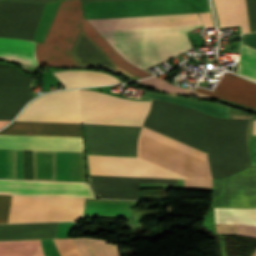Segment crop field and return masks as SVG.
Listing matches in <instances>:
<instances>
[{
	"label": "crop field",
	"mask_w": 256,
	"mask_h": 256,
	"mask_svg": "<svg viewBox=\"0 0 256 256\" xmlns=\"http://www.w3.org/2000/svg\"><path fill=\"white\" fill-rule=\"evenodd\" d=\"M0 133L82 137L80 124L14 121ZM0 134V148L83 152L82 138Z\"/></svg>",
	"instance_id": "f4fd0767"
},
{
	"label": "crop field",
	"mask_w": 256,
	"mask_h": 256,
	"mask_svg": "<svg viewBox=\"0 0 256 256\" xmlns=\"http://www.w3.org/2000/svg\"><path fill=\"white\" fill-rule=\"evenodd\" d=\"M85 2H97V1H115V0H82Z\"/></svg>",
	"instance_id": "4177f3b9"
},
{
	"label": "crop field",
	"mask_w": 256,
	"mask_h": 256,
	"mask_svg": "<svg viewBox=\"0 0 256 256\" xmlns=\"http://www.w3.org/2000/svg\"><path fill=\"white\" fill-rule=\"evenodd\" d=\"M253 256H256V251H255V253H254V255Z\"/></svg>",
	"instance_id": "eef30255"
},
{
	"label": "crop field",
	"mask_w": 256,
	"mask_h": 256,
	"mask_svg": "<svg viewBox=\"0 0 256 256\" xmlns=\"http://www.w3.org/2000/svg\"><path fill=\"white\" fill-rule=\"evenodd\" d=\"M51 256H80L72 239L44 240Z\"/></svg>",
	"instance_id": "214f88e0"
},
{
	"label": "crop field",
	"mask_w": 256,
	"mask_h": 256,
	"mask_svg": "<svg viewBox=\"0 0 256 256\" xmlns=\"http://www.w3.org/2000/svg\"><path fill=\"white\" fill-rule=\"evenodd\" d=\"M11 196H0V223H7ZM84 199L12 196L8 223L76 221ZM138 201L85 199L84 214H131Z\"/></svg>",
	"instance_id": "412701ff"
},
{
	"label": "crop field",
	"mask_w": 256,
	"mask_h": 256,
	"mask_svg": "<svg viewBox=\"0 0 256 256\" xmlns=\"http://www.w3.org/2000/svg\"><path fill=\"white\" fill-rule=\"evenodd\" d=\"M220 27L241 25L242 33L256 31V0H213Z\"/></svg>",
	"instance_id": "3316defc"
},
{
	"label": "crop field",
	"mask_w": 256,
	"mask_h": 256,
	"mask_svg": "<svg viewBox=\"0 0 256 256\" xmlns=\"http://www.w3.org/2000/svg\"><path fill=\"white\" fill-rule=\"evenodd\" d=\"M95 196L114 199H139L138 183L177 185V180L88 176Z\"/></svg>",
	"instance_id": "d8731c3e"
},
{
	"label": "crop field",
	"mask_w": 256,
	"mask_h": 256,
	"mask_svg": "<svg viewBox=\"0 0 256 256\" xmlns=\"http://www.w3.org/2000/svg\"><path fill=\"white\" fill-rule=\"evenodd\" d=\"M145 97L160 99V100L180 104L189 108L202 111L214 117L228 118L229 108L223 107L214 103L186 99L181 97L163 96V95H157V94H152L148 92L146 93Z\"/></svg>",
	"instance_id": "5142ce71"
},
{
	"label": "crop field",
	"mask_w": 256,
	"mask_h": 256,
	"mask_svg": "<svg viewBox=\"0 0 256 256\" xmlns=\"http://www.w3.org/2000/svg\"><path fill=\"white\" fill-rule=\"evenodd\" d=\"M65 88L120 82L116 78L97 72L65 71L54 73Z\"/></svg>",
	"instance_id": "cbeb9de0"
},
{
	"label": "crop field",
	"mask_w": 256,
	"mask_h": 256,
	"mask_svg": "<svg viewBox=\"0 0 256 256\" xmlns=\"http://www.w3.org/2000/svg\"><path fill=\"white\" fill-rule=\"evenodd\" d=\"M79 93L83 123L141 125L150 109V101ZM159 101L152 100L144 125L205 154L207 150L212 179L250 166L246 147L249 120L208 118ZM81 108L78 90L51 93L31 102L16 120L82 123ZM145 126L138 145L140 156L187 179H211L207 155ZM140 128L84 125L87 154L135 155ZM87 160L89 175L186 179L139 156L87 155Z\"/></svg>",
	"instance_id": "8a807250"
},
{
	"label": "crop field",
	"mask_w": 256,
	"mask_h": 256,
	"mask_svg": "<svg viewBox=\"0 0 256 256\" xmlns=\"http://www.w3.org/2000/svg\"><path fill=\"white\" fill-rule=\"evenodd\" d=\"M58 238L57 223L0 225V240Z\"/></svg>",
	"instance_id": "28ad6ade"
},
{
	"label": "crop field",
	"mask_w": 256,
	"mask_h": 256,
	"mask_svg": "<svg viewBox=\"0 0 256 256\" xmlns=\"http://www.w3.org/2000/svg\"><path fill=\"white\" fill-rule=\"evenodd\" d=\"M237 234L256 237V226L237 224Z\"/></svg>",
	"instance_id": "dafd665d"
},
{
	"label": "crop field",
	"mask_w": 256,
	"mask_h": 256,
	"mask_svg": "<svg viewBox=\"0 0 256 256\" xmlns=\"http://www.w3.org/2000/svg\"><path fill=\"white\" fill-rule=\"evenodd\" d=\"M85 18L130 15L195 13L211 11L207 0H133L84 3ZM213 26L210 12L190 14ZM189 14H164L87 19L92 26L168 22L190 18ZM199 18L156 24L94 27L102 37L187 32L202 28ZM106 39L128 62L145 69L192 48L185 33L111 37Z\"/></svg>",
	"instance_id": "ac0d7876"
},
{
	"label": "crop field",
	"mask_w": 256,
	"mask_h": 256,
	"mask_svg": "<svg viewBox=\"0 0 256 256\" xmlns=\"http://www.w3.org/2000/svg\"><path fill=\"white\" fill-rule=\"evenodd\" d=\"M142 82H144L152 87H156V88H161V89L176 91V92H182V93L185 92V89H182V88L176 87V86H172V85L168 84L167 82H165L164 80H162L160 78H156V77L142 80Z\"/></svg>",
	"instance_id": "92a150f3"
},
{
	"label": "crop field",
	"mask_w": 256,
	"mask_h": 256,
	"mask_svg": "<svg viewBox=\"0 0 256 256\" xmlns=\"http://www.w3.org/2000/svg\"><path fill=\"white\" fill-rule=\"evenodd\" d=\"M35 44L36 42L0 38V58L38 66Z\"/></svg>",
	"instance_id": "22f410ed"
},
{
	"label": "crop field",
	"mask_w": 256,
	"mask_h": 256,
	"mask_svg": "<svg viewBox=\"0 0 256 256\" xmlns=\"http://www.w3.org/2000/svg\"><path fill=\"white\" fill-rule=\"evenodd\" d=\"M0 194L95 198L84 183L0 180Z\"/></svg>",
	"instance_id": "e52e79f7"
},
{
	"label": "crop field",
	"mask_w": 256,
	"mask_h": 256,
	"mask_svg": "<svg viewBox=\"0 0 256 256\" xmlns=\"http://www.w3.org/2000/svg\"><path fill=\"white\" fill-rule=\"evenodd\" d=\"M152 75L125 61L83 18L81 0L62 1L43 43L36 45L39 66H100L110 68L132 80Z\"/></svg>",
	"instance_id": "34b2d1b8"
},
{
	"label": "crop field",
	"mask_w": 256,
	"mask_h": 256,
	"mask_svg": "<svg viewBox=\"0 0 256 256\" xmlns=\"http://www.w3.org/2000/svg\"><path fill=\"white\" fill-rule=\"evenodd\" d=\"M10 121H0V128L8 124Z\"/></svg>",
	"instance_id": "730fd06b"
},
{
	"label": "crop field",
	"mask_w": 256,
	"mask_h": 256,
	"mask_svg": "<svg viewBox=\"0 0 256 256\" xmlns=\"http://www.w3.org/2000/svg\"><path fill=\"white\" fill-rule=\"evenodd\" d=\"M243 44L256 49V32L242 35ZM242 44L236 73L256 81V50Z\"/></svg>",
	"instance_id": "d9b57169"
},
{
	"label": "crop field",
	"mask_w": 256,
	"mask_h": 256,
	"mask_svg": "<svg viewBox=\"0 0 256 256\" xmlns=\"http://www.w3.org/2000/svg\"><path fill=\"white\" fill-rule=\"evenodd\" d=\"M30 79L12 66H0V86H29Z\"/></svg>",
	"instance_id": "bc2a9ffb"
},
{
	"label": "crop field",
	"mask_w": 256,
	"mask_h": 256,
	"mask_svg": "<svg viewBox=\"0 0 256 256\" xmlns=\"http://www.w3.org/2000/svg\"><path fill=\"white\" fill-rule=\"evenodd\" d=\"M194 91L256 108V83L231 73H224L213 92L198 87Z\"/></svg>",
	"instance_id": "5a996713"
},
{
	"label": "crop field",
	"mask_w": 256,
	"mask_h": 256,
	"mask_svg": "<svg viewBox=\"0 0 256 256\" xmlns=\"http://www.w3.org/2000/svg\"><path fill=\"white\" fill-rule=\"evenodd\" d=\"M73 241L81 256H118L114 245L106 243L107 240L74 238Z\"/></svg>",
	"instance_id": "733c2abd"
},
{
	"label": "crop field",
	"mask_w": 256,
	"mask_h": 256,
	"mask_svg": "<svg viewBox=\"0 0 256 256\" xmlns=\"http://www.w3.org/2000/svg\"><path fill=\"white\" fill-rule=\"evenodd\" d=\"M252 135H256V120L253 123ZM251 166H256V136H252V161Z\"/></svg>",
	"instance_id": "00972430"
},
{
	"label": "crop field",
	"mask_w": 256,
	"mask_h": 256,
	"mask_svg": "<svg viewBox=\"0 0 256 256\" xmlns=\"http://www.w3.org/2000/svg\"><path fill=\"white\" fill-rule=\"evenodd\" d=\"M215 222L256 225V209H216Z\"/></svg>",
	"instance_id": "4a817a6b"
},
{
	"label": "crop field",
	"mask_w": 256,
	"mask_h": 256,
	"mask_svg": "<svg viewBox=\"0 0 256 256\" xmlns=\"http://www.w3.org/2000/svg\"><path fill=\"white\" fill-rule=\"evenodd\" d=\"M15 1H27V2L48 3V2L58 1V0H15Z\"/></svg>",
	"instance_id": "a9b5d70f"
},
{
	"label": "crop field",
	"mask_w": 256,
	"mask_h": 256,
	"mask_svg": "<svg viewBox=\"0 0 256 256\" xmlns=\"http://www.w3.org/2000/svg\"><path fill=\"white\" fill-rule=\"evenodd\" d=\"M32 98L29 87H0V120H12Z\"/></svg>",
	"instance_id": "d1516ede"
},
{
	"label": "crop field",
	"mask_w": 256,
	"mask_h": 256,
	"mask_svg": "<svg viewBox=\"0 0 256 256\" xmlns=\"http://www.w3.org/2000/svg\"><path fill=\"white\" fill-rule=\"evenodd\" d=\"M44 5L0 0V37L33 41Z\"/></svg>",
	"instance_id": "dd49c442"
}]
</instances>
